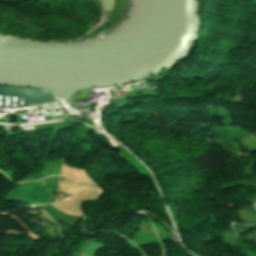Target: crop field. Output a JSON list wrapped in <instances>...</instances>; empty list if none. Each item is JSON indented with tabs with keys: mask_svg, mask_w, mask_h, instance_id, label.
<instances>
[{
	"mask_svg": "<svg viewBox=\"0 0 256 256\" xmlns=\"http://www.w3.org/2000/svg\"><path fill=\"white\" fill-rule=\"evenodd\" d=\"M128 8H129V0H126V8H125V12H124V14H123V16L120 18V20L116 23V24H114L112 27H110V28H108V29H106V30H104L103 32H101V33H99V34H97L96 36H98V35H101V34H104V33H106V32H108V31H110V30H112L114 27H116L118 24H120L121 22H122V20L124 19V17L126 16V14H127V12H128ZM102 31V30H101ZM100 32V31H99ZM98 33V32H97ZM96 34V33H95Z\"/></svg>",
	"mask_w": 256,
	"mask_h": 256,
	"instance_id": "1",
	"label": "crop field"
}]
</instances>
